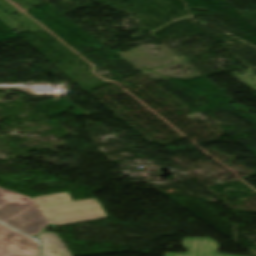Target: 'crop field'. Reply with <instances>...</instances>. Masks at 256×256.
Here are the masks:
<instances>
[{"label": "crop field", "instance_id": "8a807250", "mask_svg": "<svg viewBox=\"0 0 256 256\" xmlns=\"http://www.w3.org/2000/svg\"><path fill=\"white\" fill-rule=\"evenodd\" d=\"M70 197L63 192L33 200L48 222L56 226L108 218L96 198L72 202Z\"/></svg>", "mask_w": 256, "mask_h": 256}, {"label": "crop field", "instance_id": "ac0d7876", "mask_svg": "<svg viewBox=\"0 0 256 256\" xmlns=\"http://www.w3.org/2000/svg\"><path fill=\"white\" fill-rule=\"evenodd\" d=\"M0 220L33 237L49 225L32 198L1 188Z\"/></svg>", "mask_w": 256, "mask_h": 256}, {"label": "crop field", "instance_id": "34b2d1b8", "mask_svg": "<svg viewBox=\"0 0 256 256\" xmlns=\"http://www.w3.org/2000/svg\"><path fill=\"white\" fill-rule=\"evenodd\" d=\"M39 242L0 223V256H38Z\"/></svg>", "mask_w": 256, "mask_h": 256}, {"label": "crop field", "instance_id": "412701ff", "mask_svg": "<svg viewBox=\"0 0 256 256\" xmlns=\"http://www.w3.org/2000/svg\"><path fill=\"white\" fill-rule=\"evenodd\" d=\"M182 245L189 253L165 256H229L216 254L218 245L210 238L183 239Z\"/></svg>", "mask_w": 256, "mask_h": 256}, {"label": "crop field", "instance_id": "f4fd0767", "mask_svg": "<svg viewBox=\"0 0 256 256\" xmlns=\"http://www.w3.org/2000/svg\"><path fill=\"white\" fill-rule=\"evenodd\" d=\"M38 238L43 242L41 256H71L56 234L42 232Z\"/></svg>", "mask_w": 256, "mask_h": 256}]
</instances>
